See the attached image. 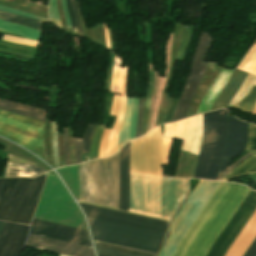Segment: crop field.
<instances>
[{
  "mask_svg": "<svg viewBox=\"0 0 256 256\" xmlns=\"http://www.w3.org/2000/svg\"><path fill=\"white\" fill-rule=\"evenodd\" d=\"M26 245L69 256H94L93 249L90 247L44 238L31 234H29V239Z\"/></svg>",
  "mask_w": 256,
  "mask_h": 256,
  "instance_id": "17",
  "label": "crop field"
},
{
  "mask_svg": "<svg viewBox=\"0 0 256 256\" xmlns=\"http://www.w3.org/2000/svg\"><path fill=\"white\" fill-rule=\"evenodd\" d=\"M98 256H104V255H100V254H98Z\"/></svg>",
  "mask_w": 256,
  "mask_h": 256,
  "instance_id": "47",
  "label": "crop field"
},
{
  "mask_svg": "<svg viewBox=\"0 0 256 256\" xmlns=\"http://www.w3.org/2000/svg\"><path fill=\"white\" fill-rule=\"evenodd\" d=\"M248 192L242 185L222 182L181 240L174 256H205Z\"/></svg>",
  "mask_w": 256,
  "mask_h": 256,
  "instance_id": "2",
  "label": "crop field"
},
{
  "mask_svg": "<svg viewBox=\"0 0 256 256\" xmlns=\"http://www.w3.org/2000/svg\"><path fill=\"white\" fill-rule=\"evenodd\" d=\"M115 153L113 156L118 154ZM111 156V157H113ZM109 157V158H111ZM104 158V159H109ZM100 159V160H104ZM81 164L88 165L94 162ZM81 199L118 207L119 154L112 159L80 167ZM81 200V201H83ZM83 201V202H88ZM88 202V203H92ZM92 203V204H97ZM97 204V205H102ZM102 205V206H107ZM107 206V207H111ZM111 207V208H116ZM118 209V208H116Z\"/></svg>",
  "mask_w": 256,
  "mask_h": 256,
  "instance_id": "3",
  "label": "crop field"
},
{
  "mask_svg": "<svg viewBox=\"0 0 256 256\" xmlns=\"http://www.w3.org/2000/svg\"><path fill=\"white\" fill-rule=\"evenodd\" d=\"M256 236V212L251 217L243 231L240 233L226 256H242Z\"/></svg>",
  "mask_w": 256,
  "mask_h": 256,
  "instance_id": "19",
  "label": "crop field"
},
{
  "mask_svg": "<svg viewBox=\"0 0 256 256\" xmlns=\"http://www.w3.org/2000/svg\"><path fill=\"white\" fill-rule=\"evenodd\" d=\"M0 30L9 32V33H13V34H17V35H21L28 39L36 40V41H38L39 35H40V31L25 28V27L7 23L4 21H0Z\"/></svg>",
  "mask_w": 256,
  "mask_h": 256,
  "instance_id": "24",
  "label": "crop field"
},
{
  "mask_svg": "<svg viewBox=\"0 0 256 256\" xmlns=\"http://www.w3.org/2000/svg\"><path fill=\"white\" fill-rule=\"evenodd\" d=\"M0 109L12 112L15 114H19L22 116H26L32 119H36L39 121H45L46 119V111L45 109H39L34 107H28L12 102H8L0 99Z\"/></svg>",
  "mask_w": 256,
  "mask_h": 256,
  "instance_id": "21",
  "label": "crop field"
},
{
  "mask_svg": "<svg viewBox=\"0 0 256 256\" xmlns=\"http://www.w3.org/2000/svg\"><path fill=\"white\" fill-rule=\"evenodd\" d=\"M5 180L6 179H0V194H1L2 188L4 186Z\"/></svg>",
  "mask_w": 256,
  "mask_h": 256,
  "instance_id": "43",
  "label": "crop field"
},
{
  "mask_svg": "<svg viewBox=\"0 0 256 256\" xmlns=\"http://www.w3.org/2000/svg\"><path fill=\"white\" fill-rule=\"evenodd\" d=\"M159 129L131 142L130 172L161 175ZM130 173L129 211L161 218V176Z\"/></svg>",
  "mask_w": 256,
  "mask_h": 256,
  "instance_id": "1",
  "label": "crop field"
},
{
  "mask_svg": "<svg viewBox=\"0 0 256 256\" xmlns=\"http://www.w3.org/2000/svg\"><path fill=\"white\" fill-rule=\"evenodd\" d=\"M187 194V179L162 176V218L170 219Z\"/></svg>",
  "mask_w": 256,
  "mask_h": 256,
  "instance_id": "15",
  "label": "crop field"
},
{
  "mask_svg": "<svg viewBox=\"0 0 256 256\" xmlns=\"http://www.w3.org/2000/svg\"><path fill=\"white\" fill-rule=\"evenodd\" d=\"M71 3H72V8H73V14H74V17L76 19V23H77V27H78V35L84 36L83 31H82V27H81V23H80V19H79V16H78V12H77V7H76V4H75V0H71Z\"/></svg>",
  "mask_w": 256,
  "mask_h": 256,
  "instance_id": "36",
  "label": "crop field"
},
{
  "mask_svg": "<svg viewBox=\"0 0 256 256\" xmlns=\"http://www.w3.org/2000/svg\"><path fill=\"white\" fill-rule=\"evenodd\" d=\"M49 16H50V19L61 24L59 15L57 12L56 0H50L49 2Z\"/></svg>",
  "mask_w": 256,
  "mask_h": 256,
  "instance_id": "34",
  "label": "crop field"
},
{
  "mask_svg": "<svg viewBox=\"0 0 256 256\" xmlns=\"http://www.w3.org/2000/svg\"><path fill=\"white\" fill-rule=\"evenodd\" d=\"M0 19L41 31V22L0 11Z\"/></svg>",
  "mask_w": 256,
  "mask_h": 256,
  "instance_id": "26",
  "label": "crop field"
},
{
  "mask_svg": "<svg viewBox=\"0 0 256 256\" xmlns=\"http://www.w3.org/2000/svg\"><path fill=\"white\" fill-rule=\"evenodd\" d=\"M29 226L6 222L0 233V256H18L28 235Z\"/></svg>",
  "mask_w": 256,
  "mask_h": 256,
  "instance_id": "16",
  "label": "crop field"
},
{
  "mask_svg": "<svg viewBox=\"0 0 256 256\" xmlns=\"http://www.w3.org/2000/svg\"><path fill=\"white\" fill-rule=\"evenodd\" d=\"M163 136L183 139L181 150L198 155L203 137L202 114L164 125Z\"/></svg>",
  "mask_w": 256,
  "mask_h": 256,
  "instance_id": "11",
  "label": "crop field"
},
{
  "mask_svg": "<svg viewBox=\"0 0 256 256\" xmlns=\"http://www.w3.org/2000/svg\"><path fill=\"white\" fill-rule=\"evenodd\" d=\"M126 66L122 69L113 68L111 91L123 94V97L114 95L109 115L116 116L112 130L104 129L99 148V158L109 156L117 151L119 128L126 111L125 80Z\"/></svg>",
  "mask_w": 256,
  "mask_h": 256,
  "instance_id": "8",
  "label": "crop field"
},
{
  "mask_svg": "<svg viewBox=\"0 0 256 256\" xmlns=\"http://www.w3.org/2000/svg\"><path fill=\"white\" fill-rule=\"evenodd\" d=\"M104 127L105 126H100V125L96 126V129H95L93 137H92V143L90 146L89 161L98 158V148H99V143H100V139H101Z\"/></svg>",
  "mask_w": 256,
  "mask_h": 256,
  "instance_id": "27",
  "label": "crop field"
},
{
  "mask_svg": "<svg viewBox=\"0 0 256 256\" xmlns=\"http://www.w3.org/2000/svg\"><path fill=\"white\" fill-rule=\"evenodd\" d=\"M93 239L157 253L165 234L87 217Z\"/></svg>",
  "mask_w": 256,
  "mask_h": 256,
  "instance_id": "6",
  "label": "crop field"
},
{
  "mask_svg": "<svg viewBox=\"0 0 256 256\" xmlns=\"http://www.w3.org/2000/svg\"><path fill=\"white\" fill-rule=\"evenodd\" d=\"M252 153H247L245 156L237 160L235 163H233L231 166H229L226 170L220 173L219 180L224 177L229 171H231L234 167H236L240 162H242L245 158H247Z\"/></svg>",
  "mask_w": 256,
  "mask_h": 256,
  "instance_id": "39",
  "label": "crop field"
},
{
  "mask_svg": "<svg viewBox=\"0 0 256 256\" xmlns=\"http://www.w3.org/2000/svg\"><path fill=\"white\" fill-rule=\"evenodd\" d=\"M86 216L165 233L167 223L157 219L80 204Z\"/></svg>",
  "mask_w": 256,
  "mask_h": 256,
  "instance_id": "12",
  "label": "crop field"
},
{
  "mask_svg": "<svg viewBox=\"0 0 256 256\" xmlns=\"http://www.w3.org/2000/svg\"><path fill=\"white\" fill-rule=\"evenodd\" d=\"M247 124L228 116L227 138L219 170L228 167L232 157L238 155L246 144Z\"/></svg>",
  "mask_w": 256,
  "mask_h": 256,
  "instance_id": "14",
  "label": "crop field"
},
{
  "mask_svg": "<svg viewBox=\"0 0 256 256\" xmlns=\"http://www.w3.org/2000/svg\"><path fill=\"white\" fill-rule=\"evenodd\" d=\"M255 105H256V101H255V103H254V105H253V108H252V110H251V113L253 112V110H254V108H255Z\"/></svg>",
  "mask_w": 256,
  "mask_h": 256,
  "instance_id": "45",
  "label": "crop field"
},
{
  "mask_svg": "<svg viewBox=\"0 0 256 256\" xmlns=\"http://www.w3.org/2000/svg\"><path fill=\"white\" fill-rule=\"evenodd\" d=\"M255 44H256V41H255Z\"/></svg>",
  "mask_w": 256,
  "mask_h": 256,
  "instance_id": "48",
  "label": "crop field"
},
{
  "mask_svg": "<svg viewBox=\"0 0 256 256\" xmlns=\"http://www.w3.org/2000/svg\"><path fill=\"white\" fill-rule=\"evenodd\" d=\"M94 243H95L97 252L100 254H104V255H109V256H155L153 254H148V253H144V252L124 249V248L105 245V244L96 243V242H94Z\"/></svg>",
  "mask_w": 256,
  "mask_h": 256,
  "instance_id": "23",
  "label": "crop field"
},
{
  "mask_svg": "<svg viewBox=\"0 0 256 256\" xmlns=\"http://www.w3.org/2000/svg\"><path fill=\"white\" fill-rule=\"evenodd\" d=\"M255 207L256 192L250 190L215 242L212 244L206 256H222Z\"/></svg>",
  "mask_w": 256,
  "mask_h": 256,
  "instance_id": "10",
  "label": "crop field"
},
{
  "mask_svg": "<svg viewBox=\"0 0 256 256\" xmlns=\"http://www.w3.org/2000/svg\"><path fill=\"white\" fill-rule=\"evenodd\" d=\"M256 173V155L253 154L246 161H244L236 169H233L221 180L229 181L230 178H235L240 175Z\"/></svg>",
  "mask_w": 256,
  "mask_h": 256,
  "instance_id": "25",
  "label": "crop field"
},
{
  "mask_svg": "<svg viewBox=\"0 0 256 256\" xmlns=\"http://www.w3.org/2000/svg\"><path fill=\"white\" fill-rule=\"evenodd\" d=\"M0 10L7 11V12H10V13H14V14H18V15H21V16H25V17H29V18H33V19H37V20H41V21H46V22H48V19H47V18H43V17H40V16L32 15V14H29V13H25V12L18 11V10H15V9L7 8V7H4V6H0Z\"/></svg>",
  "mask_w": 256,
  "mask_h": 256,
  "instance_id": "32",
  "label": "crop field"
},
{
  "mask_svg": "<svg viewBox=\"0 0 256 256\" xmlns=\"http://www.w3.org/2000/svg\"><path fill=\"white\" fill-rule=\"evenodd\" d=\"M66 4H67L68 12H69L70 18H71L72 32L77 33V27H76L75 20L73 18L70 0H66Z\"/></svg>",
  "mask_w": 256,
  "mask_h": 256,
  "instance_id": "40",
  "label": "crop field"
},
{
  "mask_svg": "<svg viewBox=\"0 0 256 256\" xmlns=\"http://www.w3.org/2000/svg\"><path fill=\"white\" fill-rule=\"evenodd\" d=\"M176 103H177V101H175L173 99L170 100V104L168 107V111H167V115H166L164 123L171 122Z\"/></svg>",
  "mask_w": 256,
  "mask_h": 256,
  "instance_id": "38",
  "label": "crop field"
},
{
  "mask_svg": "<svg viewBox=\"0 0 256 256\" xmlns=\"http://www.w3.org/2000/svg\"><path fill=\"white\" fill-rule=\"evenodd\" d=\"M212 40L213 38L209 35V33L201 31L191 70L185 88L176 105L172 122L186 116L190 101L198 87V84L207 66L208 62L204 61V59L206 57Z\"/></svg>",
  "mask_w": 256,
  "mask_h": 256,
  "instance_id": "9",
  "label": "crop field"
},
{
  "mask_svg": "<svg viewBox=\"0 0 256 256\" xmlns=\"http://www.w3.org/2000/svg\"><path fill=\"white\" fill-rule=\"evenodd\" d=\"M29 233L92 247L88 232L81 229L33 219Z\"/></svg>",
  "mask_w": 256,
  "mask_h": 256,
  "instance_id": "13",
  "label": "crop field"
},
{
  "mask_svg": "<svg viewBox=\"0 0 256 256\" xmlns=\"http://www.w3.org/2000/svg\"><path fill=\"white\" fill-rule=\"evenodd\" d=\"M43 122L0 111V135L22 145L46 161Z\"/></svg>",
  "mask_w": 256,
  "mask_h": 256,
  "instance_id": "7",
  "label": "crop field"
},
{
  "mask_svg": "<svg viewBox=\"0 0 256 256\" xmlns=\"http://www.w3.org/2000/svg\"><path fill=\"white\" fill-rule=\"evenodd\" d=\"M59 256H65V255H61V254H59Z\"/></svg>",
  "mask_w": 256,
  "mask_h": 256,
  "instance_id": "46",
  "label": "crop field"
},
{
  "mask_svg": "<svg viewBox=\"0 0 256 256\" xmlns=\"http://www.w3.org/2000/svg\"><path fill=\"white\" fill-rule=\"evenodd\" d=\"M130 142L120 149L119 209L128 211Z\"/></svg>",
  "mask_w": 256,
  "mask_h": 256,
  "instance_id": "18",
  "label": "crop field"
},
{
  "mask_svg": "<svg viewBox=\"0 0 256 256\" xmlns=\"http://www.w3.org/2000/svg\"><path fill=\"white\" fill-rule=\"evenodd\" d=\"M143 103H144V99H139L138 117H137V126H136L135 138L140 136L141 122H142V112H143Z\"/></svg>",
  "mask_w": 256,
  "mask_h": 256,
  "instance_id": "33",
  "label": "crop field"
},
{
  "mask_svg": "<svg viewBox=\"0 0 256 256\" xmlns=\"http://www.w3.org/2000/svg\"><path fill=\"white\" fill-rule=\"evenodd\" d=\"M137 105H138V99H134L132 114H131L130 123H129L128 141L133 139L135 135Z\"/></svg>",
  "mask_w": 256,
  "mask_h": 256,
  "instance_id": "29",
  "label": "crop field"
},
{
  "mask_svg": "<svg viewBox=\"0 0 256 256\" xmlns=\"http://www.w3.org/2000/svg\"><path fill=\"white\" fill-rule=\"evenodd\" d=\"M243 256H256V238L253 240Z\"/></svg>",
  "mask_w": 256,
  "mask_h": 256,
  "instance_id": "41",
  "label": "crop field"
},
{
  "mask_svg": "<svg viewBox=\"0 0 256 256\" xmlns=\"http://www.w3.org/2000/svg\"><path fill=\"white\" fill-rule=\"evenodd\" d=\"M204 137L194 178L216 180L226 137V110L203 114Z\"/></svg>",
  "mask_w": 256,
  "mask_h": 256,
  "instance_id": "5",
  "label": "crop field"
},
{
  "mask_svg": "<svg viewBox=\"0 0 256 256\" xmlns=\"http://www.w3.org/2000/svg\"><path fill=\"white\" fill-rule=\"evenodd\" d=\"M75 141V164L81 162V141L82 139L74 138Z\"/></svg>",
  "mask_w": 256,
  "mask_h": 256,
  "instance_id": "35",
  "label": "crop field"
},
{
  "mask_svg": "<svg viewBox=\"0 0 256 256\" xmlns=\"http://www.w3.org/2000/svg\"><path fill=\"white\" fill-rule=\"evenodd\" d=\"M45 174L34 179H7L0 197V219L30 224Z\"/></svg>",
  "mask_w": 256,
  "mask_h": 256,
  "instance_id": "4",
  "label": "crop field"
},
{
  "mask_svg": "<svg viewBox=\"0 0 256 256\" xmlns=\"http://www.w3.org/2000/svg\"><path fill=\"white\" fill-rule=\"evenodd\" d=\"M61 3H62V6H63V10H64V15H65L66 23H67V28H71L69 14H68L67 9H66L65 0H61Z\"/></svg>",
  "mask_w": 256,
  "mask_h": 256,
  "instance_id": "42",
  "label": "crop field"
},
{
  "mask_svg": "<svg viewBox=\"0 0 256 256\" xmlns=\"http://www.w3.org/2000/svg\"><path fill=\"white\" fill-rule=\"evenodd\" d=\"M63 142H64V154L66 166L70 165L69 153H68V140H67V129H63Z\"/></svg>",
  "mask_w": 256,
  "mask_h": 256,
  "instance_id": "37",
  "label": "crop field"
},
{
  "mask_svg": "<svg viewBox=\"0 0 256 256\" xmlns=\"http://www.w3.org/2000/svg\"><path fill=\"white\" fill-rule=\"evenodd\" d=\"M96 125H87L84 137H83V143H82V153H89V146L91 142V136L94 131Z\"/></svg>",
  "mask_w": 256,
  "mask_h": 256,
  "instance_id": "30",
  "label": "crop field"
},
{
  "mask_svg": "<svg viewBox=\"0 0 256 256\" xmlns=\"http://www.w3.org/2000/svg\"><path fill=\"white\" fill-rule=\"evenodd\" d=\"M26 1V0H25Z\"/></svg>",
  "mask_w": 256,
  "mask_h": 256,
  "instance_id": "49",
  "label": "crop field"
},
{
  "mask_svg": "<svg viewBox=\"0 0 256 256\" xmlns=\"http://www.w3.org/2000/svg\"><path fill=\"white\" fill-rule=\"evenodd\" d=\"M46 172L37 165L7 163L5 177L29 176L35 177Z\"/></svg>",
  "mask_w": 256,
  "mask_h": 256,
  "instance_id": "22",
  "label": "crop field"
},
{
  "mask_svg": "<svg viewBox=\"0 0 256 256\" xmlns=\"http://www.w3.org/2000/svg\"><path fill=\"white\" fill-rule=\"evenodd\" d=\"M246 150L256 152V125L250 124Z\"/></svg>",
  "mask_w": 256,
  "mask_h": 256,
  "instance_id": "31",
  "label": "crop field"
},
{
  "mask_svg": "<svg viewBox=\"0 0 256 256\" xmlns=\"http://www.w3.org/2000/svg\"><path fill=\"white\" fill-rule=\"evenodd\" d=\"M255 99H256V85L252 87V89L248 92V94L243 100H241L239 103H237L233 107L240 108L242 111L249 113Z\"/></svg>",
  "mask_w": 256,
  "mask_h": 256,
  "instance_id": "28",
  "label": "crop field"
},
{
  "mask_svg": "<svg viewBox=\"0 0 256 256\" xmlns=\"http://www.w3.org/2000/svg\"><path fill=\"white\" fill-rule=\"evenodd\" d=\"M4 223H5V222L0 221V231H1V229H2V227H3V225H4Z\"/></svg>",
  "mask_w": 256,
  "mask_h": 256,
  "instance_id": "44",
  "label": "crop field"
},
{
  "mask_svg": "<svg viewBox=\"0 0 256 256\" xmlns=\"http://www.w3.org/2000/svg\"><path fill=\"white\" fill-rule=\"evenodd\" d=\"M248 73L240 71L238 69L234 70V73L228 82V84L225 86V88L222 90V92L219 94V96L216 98L212 109L224 107L228 104L230 99L233 97L237 89L240 87L242 84L245 76Z\"/></svg>",
  "mask_w": 256,
  "mask_h": 256,
  "instance_id": "20",
  "label": "crop field"
}]
</instances>
